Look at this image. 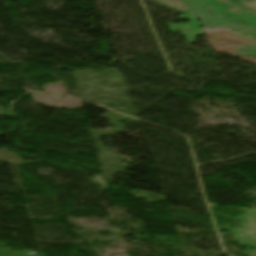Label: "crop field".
<instances>
[{
  "instance_id": "obj_1",
  "label": "crop field",
  "mask_w": 256,
  "mask_h": 256,
  "mask_svg": "<svg viewBox=\"0 0 256 256\" xmlns=\"http://www.w3.org/2000/svg\"><path fill=\"white\" fill-rule=\"evenodd\" d=\"M204 30L247 29L256 38V12L230 0H191ZM220 23L221 25H218Z\"/></svg>"
},
{
  "instance_id": "obj_5",
  "label": "crop field",
  "mask_w": 256,
  "mask_h": 256,
  "mask_svg": "<svg viewBox=\"0 0 256 256\" xmlns=\"http://www.w3.org/2000/svg\"><path fill=\"white\" fill-rule=\"evenodd\" d=\"M240 4H242L248 8L256 10V1H242V2H240Z\"/></svg>"
},
{
  "instance_id": "obj_6",
  "label": "crop field",
  "mask_w": 256,
  "mask_h": 256,
  "mask_svg": "<svg viewBox=\"0 0 256 256\" xmlns=\"http://www.w3.org/2000/svg\"><path fill=\"white\" fill-rule=\"evenodd\" d=\"M251 210H252L254 220H255V223H256V208H252Z\"/></svg>"
},
{
  "instance_id": "obj_2",
  "label": "crop field",
  "mask_w": 256,
  "mask_h": 256,
  "mask_svg": "<svg viewBox=\"0 0 256 256\" xmlns=\"http://www.w3.org/2000/svg\"><path fill=\"white\" fill-rule=\"evenodd\" d=\"M245 215L235 216L241 219L243 229H231L235 239L247 248L256 247V226L250 208H244Z\"/></svg>"
},
{
  "instance_id": "obj_4",
  "label": "crop field",
  "mask_w": 256,
  "mask_h": 256,
  "mask_svg": "<svg viewBox=\"0 0 256 256\" xmlns=\"http://www.w3.org/2000/svg\"><path fill=\"white\" fill-rule=\"evenodd\" d=\"M238 53L247 54V55H255L256 56V45H248L243 44L242 48H237Z\"/></svg>"
},
{
  "instance_id": "obj_3",
  "label": "crop field",
  "mask_w": 256,
  "mask_h": 256,
  "mask_svg": "<svg viewBox=\"0 0 256 256\" xmlns=\"http://www.w3.org/2000/svg\"><path fill=\"white\" fill-rule=\"evenodd\" d=\"M187 13L183 15H178L177 18L184 19L189 18L191 21L189 23L184 24H171L168 23L166 26L170 27L171 29H168L169 31H181V34L184 35L187 43H194L195 36L203 34L202 30L199 29L197 26L199 25L198 22L195 21L194 16L191 12V10H185Z\"/></svg>"
}]
</instances>
